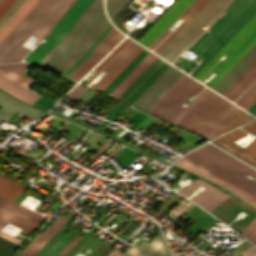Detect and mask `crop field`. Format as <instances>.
<instances>
[{"label": "crop field", "instance_id": "crop-field-1", "mask_svg": "<svg viewBox=\"0 0 256 256\" xmlns=\"http://www.w3.org/2000/svg\"><path fill=\"white\" fill-rule=\"evenodd\" d=\"M102 0H95L63 40L38 64L63 75L109 24Z\"/></svg>", "mask_w": 256, "mask_h": 256}, {"label": "crop field", "instance_id": "crop-field-2", "mask_svg": "<svg viewBox=\"0 0 256 256\" xmlns=\"http://www.w3.org/2000/svg\"><path fill=\"white\" fill-rule=\"evenodd\" d=\"M75 0H40L22 23L0 44V62L20 61L30 50L20 46L31 34L44 37ZM36 42V44H37Z\"/></svg>", "mask_w": 256, "mask_h": 256}, {"label": "crop field", "instance_id": "crop-field-3", "mask_svg": "<svg viewBox=\"0 0 256 256\" xmlns=\"http://www.w3.org/2000/svg\"><path fill=\"white\" fill-rule=\"evenodd\" d=\"M255 14L256 0H234L188 49L205 56L191 75L194 77Z\"/></svg>", "mask_w": 256, "mask_h": 256}, {"label": "crop field", "instance_id": "crop-field-4", "mask_svg": "<svg viewBox=\"0 0 256 256\" xmlns=\"http://www.w3.org/2000/svg\"><path fill=\"white\" fill-rule=\"evenodd\" d=\"M232 0H211L159 53L171 62L211 24Z\"/></svg>", "mask_w": 256, "mask_h": 256}, {"label": "crop field", "instance_id": "crop-field-5", "mask_svg": "<svg viewBox=\"0 0 256 256\" xmlns=\"http://www.w3.org/2000/svg\"><path fill=\"white\" fill-rule=\"evenodd\" d=\"M256 21V15L215 55V57L195 76L200 79L203 74L214 65L219 57L224 54ZM256 31V22L253 26L226 52L228 58L220 61L215 65L205 77L212 71L216 72L230 56ZM256 43V32L233 54V56L216 72L211 80L206 84L213 87L231 68L232 66ZM205 77L201 80L203 81Z\"/></svg>", "mask_w": 256, "mask_h": 256}, {"label": "crop field", "instance_id": "crop-field-6", "mask_svg": "<svg viewBox=\"0 0 256 256\" xmlns=\"http://www.w3.org/2000/svg\"><path fill=\"white\" fill-rule=\"evenodd\" d=\"M93 2L94 0H76L45 36L46 42L39 44L25 60L37 65L62 40Z\"/></svg>", "mask_w": 256, "mask_h": 256}, {"label": "crop field", "instance_id": "crop-field-7", "mask_svg": "<svg viewBox=\"0 0 256 256\" xmlns=\"http://www.w3.org/2000/svg\"><path fill=\"white\" fill-rule=\"evenodd\" d=\"M210 91L178 125L202 135L232 105Z\"/></svg>", "mask_w": 256, "mask_h": 256}, {"label": "crop field", "instance_id": "crop-field-8", "mask_svg": "<svg viewBox=\"0 0 256 256\" xmlns=\"http://www.w3.org/2000/svg\"><path fill=\"white\" fill-rule=\"evenodd\" d=\"M202 88V85L184 75L149 113L171 122L184 109L180 106L181 103L190 95L197 94Z\"/></svg>", "mask_w": 256, "mask_h": 256}, {"label": "crop field", "instance_id": "crop-field-9", "mask_svg": "<svg viewBox=\"0 0 256 256\" xmlns=\"http://www.w3.org/2000/svg\"><path fill=\"white\" fill-rule=\"evenodd\" d=\"M26 65L27 63L0 65V87L32 104L40 95L29 90L34 81L21 76Z\"/></svg>", "mask_w": 256, "mask_h": 256}, {"label": "crop field", "instance_id": "crop-field-10", "mask_svg": "<svg viewBox=\"0 0 256 256\" xmlns=\"http://www.w3.org/2000/svg\"><path fill=\"white\" fill-rule=\"evenodd\" d=\"M183 75L170 66L133 105L148 112Z\"/></svg>", "mask_w": 256, "mask_h": 256}, {"label": "crop field", "instance_id": "crop-field-11", "mask_svg": "<svg viewBox=\"0 0 256 256\" xmlns=\"http://www.w3.org/2000/svg\"><path fill=\"white\" fill-rule=\"evenodd\" d=\"M195 151L199 152L203 156L207 157L211 161L215 162L216 164L220 165L224 169L228 170L232 174L236 175L237 177L241 178L242 180L256 188V179L250 180L243 175L247 172L252 176L256 177L255 169L247 166L246 164L240 162L239 160L235 159L234 157L228 155L227 153L223 152L222 150L216 148L211 144H206Z\"/></svg>", "mask_w": 256, "mask_h": 256}, {"label": "crop field", "instance_id": "crop-field-12", "mask_svg": "<svg viewBox=\"0 0 256 256\" xmlns=\"http://www.w3.org/2000/svg\"><path fill=\"white\" fill-rule=\"evenodd\" d=\"M241 128L251 134L256 135V120L251 121L250 123ZM244 135H246L245 132L237 129L213 140V142L221 145L222 147L226 148L227 150L247 161L248 163L256 166V139L253 140L244 149L232 142Z\"/></svg>", "mask_w": 256, "mask_h": 256}, {"label": "crop field", "instance_id": "crop-field-13", "mask_svg": "<svg viewBox=\"0 0 256 256\" xmlns=\"http://www.w3.org/2000/svg\"><path fill=\"white\" fill-rule=\"evenodd\" d=\"M169 66L157 57L118 99L132 104Z\"/></svg>", "mask_w": 256, "mask_h": 256}, {"label": "crop field", "instance_id": "crop-field-14", "mask_svg": "<svg viewBox=\"0 0 256 256\" xmlns=\"http://www.w3.org/2000/svg\"><path fill=\"white\" fill-rule=\"evenodd\" d=\"M245 212L247 215L241 220L233 222L230 227L238 231L244 227L252 218L256 216V212L249 207L243 205L231 196H227L220 204H218L210 213L225 222L230 223L240 212Z\"/></svg>", "mask_w": 256, "mask_h": 256}, {"label": "crop field", "instance_id": "crop-field-15", "mask_svg": "<svg viewBox=\"0 0 256 256\" xmlns=\"http://www.w3.org/2000/svg\"><path fill=\"white\" fill-rule=\"evenodd\" d=\"M122 38L123 35L112 27L92 53L68 77L74 80L80 79Z\"/></svg>", "mask_w": 256, "mask_h": 256}, {"label": "crop field", "instance_id": "crop-field-16", "mask_svg": "<svg viewBox=\"0 0 256 256\" xmlns=\"http://www.w3.org/2000/svg\"><path fill=\"white\" fill-rule=\"evenodd\" d=\"M200 185L204 187H206L207 185L208 186L199 194H197L194 198H192V200L197 202L199 205H201L209 212L227 196V194L223 193L222 191L218 190L217 188L213 187L207 182L199 179H197L189 187L179 189L178 192L186 197Z\"/></svg>", "mask_w": 256, "mask_h": 256}, {"label": "crop field", "instance_id": "crop-field-17", "mask_svg": "<svg viewBox=\"0 0 256 256\" xmlns=\"http://www.w3.org/2000/svg\"><path fill=\"white\" fill-rule=\"evenodd\" d=\"M191 1L192 0H177L139 39L138 42L148 47L160 35V33L187 7Z\"/></svg>", "mask_w": 256, "mask_h": 256}, {"label": "crop field", "instance_id": "crop-field-18", "mask_svg": "<svg viewBox=\"0 0 256 256\" xmlns=\"http://www.w3.org/2000/svg\"><path fill=\"white\" fill-rule=\"evenodd\" d=\"M176 165H179L193 173L199 174L223 187H225L227 190L232 192L233 194L245 199L247 202H249L251 205L256 207V200L245 194L244 192L240 191L236 187L232 186L225 180L221 179L217 175L213 174L209 170L205 169L201 165L197 164L193 160L189 159L188 157L184 156L179 161L175 163ZM244 200V201H245Z\"/></svg>", "mask_w": 256, "mask_h": 256}, {"label": "crop field", "instance_id": "crop-field-19", "mask_svg": "<svg viewBox=\"0 0 256 256\" xmlns=\"http://www.w3.org/2000/svg\"><path fill=\"white\" fill-rule=\"evenodd\" d=\"M186 156L193 159L197 163L201 164L205 168L209 169L213 173L217 174L221 178L225 179L229 183L233 184L237 188L241 189L242 191H244L245 193L249 194L250 196H252L253 198L256 199V189L255 188L248 185L247 183L240 180L236 176L232 175L228 171H226L223 168H221L220 166L216 165L215 163L211 162L207 158L203 157L199 153L192 151L189 154H187Z\"/></svg>", "mask_w": 256, "mask_h": 256}, {"label": "crop field", "instance_id": "crop-field-20", "mask_svg": "<svg viewBox=\"0 0 256 256\" xmlns=\"http://www.w3.org/2000/svg\"><path fill=\"white\" fill-rule=\"evenodd\" d=\"M208 2L209 0H193V2L172 23H174L179 17L186 19L153 52L158 54ZM167 28L148 48H155L163 40V38L170 32Z\"/></svg>", "mask_w": 256, "mask_h": 256}, {"label": "crop field", "instance_id": "crop-field-21", "mask_svg": "<svg viewBox=\"0 0 256 256\" xmlns=\"http://www.w3.org/2000/svg\"><path fill=\"white\" fill-rule=\"evenodd\" d=\"M0 107H2L0 109V117L7 121L11 117H13L17 112L32 119H35L44 113L40 110L33 109L29 106H26L14 100L13 98L7 96L1 91H0Z\"/></svg>", "mask_w": 256, "mask_h": 256}, {"label": "crop field", "instance_id": "crop-field-22", "mask_svg": "<svg viewBox=\"0 0 256 256\" xmlns=\"http://www.w3.org/2000/svg\"><path fill=\"white\" fill-rule=\"evenodd\" d=\"M255 59L256 44L233 66L213 89L222 94Z\"/></svg>", "mask_w": 256, "mask_h": 256}, {"label": "crop field", "instance_id": "crop-field-23", "mask_svg": "<svg viewBox=\"0 0 256 256\" xmlns=\"http://www.w3.org/2000/svg\"><path fill=\"white\" fill-rule=\"evenodd\" d=\"M140 240L124 256H170L159 232L149 244Z\"/></svg>", "mask_w": 256, "mask_h": 256}, {"label": "crop field", "instance_id": "crop-field-24", "mask_svg": "<svg viewBox=\"0 0 256 256\" xmlns=\"http://www.w3.org/2000/svg\"><path fill=\"white\" fill-rule=\"evenodd\" d=\"M76 215V213L68 220V222ZM67 222V223H68ZM66 223V224H67ZM65 224V226H66ZM67 227H62L35 256H56L78 233L74 230L68 237L63 233L67 230Z\"/></svg>", "mask_w": 256, "mask_h": 256}, {"label": "crop field", "instance_id": "crop-field-25", "mask_svg": "<svg viewBox=\"0 0 256 256\" xmlns=\"http://www.w3.org/2000/svg\"><path fill=\"white\" fill-rule=\"evenodd\" d=\"M39 0H25L10 20L0 29V43L21 23Z\"/></svg>", "mask_w": 256, "mask_h": 256}, {"label": "crop field", "instance_id": "crop-field-26", "mask_svg": "<svg viewBox=\"0 0 256 256\" xmlns=\"http://www.w3.org/2000/svg\"><path fill=\"white\" fill-rule=\"evenodd\" d=\"M152 53H148L139 64L109 93V95L117 98L156 58Z\"/></svg>", "mask_w": 256, "mask_h": 256}, {"label": "crop field", "instance_id": "crop-field-27", "mask_svg": "<svg viewBox=\"0 0 256 256\" xmlns=\"http://www.w3.org/2000/svg\"><path fill=\"white\" fill-rule=\"evenodd\" d=\"M26 186L0 174V196L17 202L25 193Z\"/></svg>", "mask_w": 256, "mask_h": 256}, {"label": "crop field", "instance_id": "crop-field-28", "mask_svg": "<svg viewBox=\"0 0 256 256\" xmlns=\"http://www.w3.org/2000/svg\"><path fill=\"white\" fill-rule=\"evenodd\" d=\"M256 78V63L251 69L224 95L234 101Z\"/></svg>", "mask_w": 256, "mask_h": 256}, {"label": "crop field", "instance_id": "crop-field-29", "mask_svg": "<svg viewBox=\"0 0 256 256\" xmlns=\"http://www.w3.org/2000/svg\"><path fill=\"white\" fill-rule=\"evenodd\" d=\"M0 206L19 215V216H22L28 220H31L37 224H40L45 219V217L38 215L34 212H31V211H29L17 204H14L2 197H0Z\"/></svg>", "mask_w": 256, "mask_h": 256}, {"label": "crop field", "instance_id": "crop-field-30", "mask_svg": "<svg viewBox=\"0 0 256 256\" xmlns=\"http://www.w3.org/2000/svg\"><path fill=\"white\" fill-rule=\"evenodd\" d=\"M138 44L132 40L117 54V56L103 69L106 71L96 84L90 86L95 88Z\"/></svg>", "mask_w": 256, "mask_h": 256}, {"label": "crop field", "instance_id": "crop-field-31", "mask_svg": "<svg viewBox=\"0 0 256 256\" xmlns=\"http://www.w3.org/2000/svg\"><path fill=\"white\" fill-rule=\"evenodd\" d=\"M240 109L231 106L204 134L207 138H212Z\"/></svg>", "mask_w": 256, "mask_h": 256}, {"label": "crop field", "instance_id": "crop-field-32", "mask_svg": "<svg viewBox=\"0 0 256 256\" xmlns=\"http://www.w3.org/2000/svg\"><path fill=\"white\" fill-rule=\"evenodd\" d=\"M146 49H142L136 57L115 77V79L103 90L109 93L127 74L128 72L148 53Z\"/></svg>", "mask_w": 256, "mask_h": 256}, {"label": "crop field", "instance_id": "crop-field-33", "mask_svg": "<svg viewBox=\"0 0 256 256\" xmlns=\"http://www.w3.org/2000/svg\"><path fill=\"white\" fill-rule=\"evenodd\" d=\"M143 47L137 46L97 87L96 89L102 91L111 80L132 60V58L142 49Z\"/></svg>", "mask_w": 256, "mask_h": 256}, {"label": "crop field", "instance_id": "crop-field-34", "mask_svg": "<svg viewBox=\"0 0 256 256\" xmlns=\"http://www.w3.org/2000/svg\"><path fill=\"white\" fill-rule=\"evenodd\" d=\"M0 217L28 230V231H33V229L35 228V224L9 212V211H6L2 208H0Z\"/></svg>", "mask_w": 256, "mask_h": 256}, {"label": "crop field", "instance_id": "crop-field-35", "mask_svg": "<svg viewBox=\"0 0 256 256\" xmlns=\"http://www.w3.org/2000/svg\"><path fill=\"white\" fill-rule=\"evenodd\" d=\"M255 100L256 81L239 97L235 103L247 109Z\"/></svg>", "mask_w": 256, "mask_h": 256}, {"label": "crop field", "instance_id": "crop-field-36", "mask_svg": "<svg viewBox=\"0 0 256 256\" xmlns=\"http://www.w3.org/2000/svg\"><path fill=\"white\" fill-rule=\"evenodd\" d=\"M249 119H251V116L240 110L215 136H217L229 129H232V128L248 121Z\"/></svg>", "mask_w": 256, "mask_h": 256}, {"label": "crop field", "instance_id": "crop-field-37", "mask_svg": "<svg viewBox=\"0 0 256 256\" xmlns=\"http://www.w3.org/2000/svg\"><path fill=\"white\" fill-rule=\"evenodd\" d=\"M131 0H109L106 3L108 14L111 20L130 2Z\"/></svg>", "mask_w": 256, "mask_h": 256}, {"label": "crop field", "instance_id": "crop-field-38", "mask_svg": "<svg viewBox=\"0 0 256 256\" xmlns=\"http://www.w3.org/2000/svg\"><path fill=\"white\" fill-rule=\"evenodd\" d=\"M137 155L138 153L124 147L120 150L116 160L125 169Z\"/></svg>", "mask_w": 256, "mask_h": 256}, {"label": "crop field", "instance_id": "crop-field-39", "mask_svg": "<svg viewBox=\"0 0 256 256\" xmlns=\"http://www.w3.org/2000/svg\"><path fill=\"white\" fill-rule=\"evenodd\" d=\"M112 27L111 23L108 27L101 33V35L95 40V42L88 48V50L74 63V65L64 74L67 76L77 65H79L95 48V46L100 42V40L104 37V35L109 31Z\"/></svg>", "mask_w": 256, "mask_h": 256}, {"label": "crop field", "instance_id": "crop-field-40", "mask_svg": "<svg viewBox=\"0 0 256 256\" xmlns=\"http://www.w3.org/2000/svg\"><path fill=\"white\" fill-rule=\"evenodd\" d=\"M238 233L256 244V217L252 219L244 228Z\"/></svg>", "mask_w": 256, "mask_h": 256}, {"label": "crop field", "instance_id": "crop-field-41", "mask_svg": "<svg viewBox=\"0 0 256 256\" xmlns=\"http://www.w3.org/2000/svg\"><path fill=\"white\" fill-rule=\"evenodd\" d=\"M209 90L204 89L197 95L195 100L191 102L173 121L172 123L177 124L191 109L192 107L208 92Z\"/></svg>", "mask_w": 256, "mask_h": 256}, {"label": "crop field", "instance_id": "crop-field-42", "mask_svg": "<svg viewBox=\"0 0 256 256\" xmlns=\"http://www.w3.org/2000/svg\"><path fill=\"white\" fill-rule=\"evenodd\" d=\"M0 231H2V232H4V233H6V234H8V235H10V236H12V237L18 239V240H20V241H22V242H24V241L26 240V239H24V238H22V237H20V236H18V235H16V234H14V233H11V232H9V231L3 229V228H1ZM2 232H0V236H1V237H3V238H5V239H7V240H9V241H11V242H13V243H15V244H19V245L22 244V242H20V241L14 239V238H12V237H10V236H8V235L2 233Z\"/></svg>", "mask_w": 256, "mask_h": 256}, {"label": "crop field", "instance_id": "crop-field-43", "mask_svg": "<svg viewBox=\"0 0 256 256\" xmlns=\"http://www.w3.org/2000/svg\"><path fill=\"white\" fill-rule=\"evenodd\" d=\"M24 0H17V2L11 7V9L5 14L0 20V28L8 21V19L14 14L18 7L23 3Z\"/></svg>", "mask_w": 256, "mask_h": 256}, {"label": "crop field", "instance_id": "crop-field-44", "mask_svg": "<svg viewBox=\"0 0 256 256\" xmlns=\"http://www.w3.org/2000/svg\"><path fill=\"white\" fill-rule=\"evenodd\" d=\"M127 106V105H126ZM126 106L118 103L104 118L108 119L110 121H113V119L120 113L122 112Z\"/></svg>", "mask_w": 256, "mask_h": 256}, {"label": "crop field", "instance_id": "crop-field-45", "mask_svg": "<svg viewBox=\"0 0 256 256\" xmlns=\"http://www.w3.org/2000/svg\"><path fill=\"white\" fill-rule=\"evenodd\" d=\"M16 0H1L0 1V19L9 10V8L15 3Z\"/></svg>", "mask_w": 256, "mask_h": 256}, {"label": "crop field", "instance_id": "crop-field-46", "mask_svg": "<svg viewBox=\"0 0 256 256\" xmlns=\"http://www.w3.org/2000/svg\"><path fill=\"white\" fill-rule=\"evenodd\" d=\"M54 102L44 98V97H40L37 101H35L33 104L34 105H37V106H40V107H43V108H47L49 109L50 106L53 104Z\"/></svg>", "mask_w": 256, "mask_h": 256}, {"label": "crop field", "instance_id": "crop-field-47", "mask_svg": "<svg viewBox=\"0 0 256 256\" xmlns=\"http://www.w3.org/2000/svg\"><path fill=\"white\" fill-rule=\"evenodd\" d=\"M251 243L244 240L242 243H240L234 250L230 252L232 254L231 256H237L239 253H241L245 248H247Z\"/></svg>", "mask_w": 256, "mask_h": 256}, {"label": "crop field", "instance_id": "crop-field-48", "mask_svg": "<svg viewBox=\"0 0 256 256\" xmlns=\"http://www.w3.org/2000/svg\"><path fill=\"white\" fill-rule=\"evenodd\" d=\"M100 137H101L100 135H98L94 132H90L85 137V141L89 144V147L91 148Z\"/></svg>", "mask_w": 256, "mask_h": 256}, {"label": "crop field", "instance_id": "crop-field-49", "mask_svg": "<svg viewBox=\"0 0 256 256\" xmlns=\"http://www.w3.org/2000/svg\"><path fill=\"white\" fill-rule=\"evenodd\" d=\"M86 90V88L78 85L72 92H70L68 94V96L76 99L80 94H82L84 91Z\"/></svg>", "mask_w": 256, "mask_h": 256}, {"label": "crop field", "instance_id": "crop-field-50", "mask_svg": "<svg viewBox=\"0 0 256 256\" xmlns=\"http://www.w3.org/2000/svg\"><path fill=\"white\" fill-rule=\"evenodd\" d=\"M134 12V10H132L131 8L127 7L119 16V20L121 23H123L132 13Z\"/></svg>", "mask_w": 256, "mask_h": 256}, {"label": "crop field", "instance_id": "crop-field-51", "mask_svg": "<svg viewBox=\"0 0 256 256\" xmlns=\"http://www.w3.org/2000/svg\"><path fill=\"white\" fill-rule=\"evenodd\" d=\"M79 239L80 237L76 236L57 256H64Z\"/></svg>", "mask_w": 256, "mask_h": 256}, {"label": "crop field", "instance_id": "crop-field-52", "mask_svg": "<svg viewBox=\"0 0 256 256\" xmlns=\"http://www.w3.org/2000/svg\"><path fill=\"white\" fill-rule=\"evenodd\" d=\"M127 39H125L124 41H122L96 68H95V72L118 50V48L126 41Z\"/></svg>", "mask_w": 256, "mask_h": 256}, {"label": "crop field", "instance_id": "crop-field-53", "mask_svg": "<svg viewBox=\"0 0 256 256\" xmlns=\"http://www.w3.org/2000/svg\"><path fill=\"white\" fill-rule=\"evenodd\" d=\"M129 41L130 39L85 83V85H87Z\"/></svg>", "mask_w": 256, "mask_h": 256}, {"label": "crop field", "instance_id": "crop-field-54", "mask_svg": "<svg viewBox=\"0 0 256 256\" xmlns=\"http://www.w3.org/2000/svg\"><path fill=\"white\" fill-rule=\"evenodd\" d=\"M151 24L152 22L147 21L142 28L132 32V34L138 38Z\"/></svg>", "mask_w": 256, "mask_h": 256}, {"label": "crop field", "instance_id": "crop-field-55", "mask_svg": "<svg viewBox=\"0 0 256 256\" xmlns=\"http://www.w3.org/2000/svg\"><path fill=\"white\" fill-rule=\"evenodd\" d=\"M245 256H253L254 254H256V247L252 246V244L242 253Z\"/></svg>", "mask_w": 256, "mask_h": 256}, {"label": "crop field", "instance_id": "crop-field-56", "mask_svg": "<svg viewBox=\"0 0 256 256\" xmlns=\"http://www.w3.org/2000/svg\"><path fill=\"white\" fill-rule=\"evenodd\" d=\"M153 120V118H151V117H147L137 128H135L133 131H137L141 126L142 127H146L151 121Z\"/></svg>", "mask_w": 256, "mask_h": 256}, {"label": "crop field", "instance_id": "crop-field-57", "mask_svg": "<svg viewBox=\"0 0 256 256\" xmlns=\"http://www.w3.org/2000/svg\"><path fill=\"white\" fill-rule=\"evenodd\" d=\"M111 143V140H108L107 143L91 158V160H95Z\"/></svg>", "mask_w": 256, "mask_h": 256}, {"label": "crop field", "instance_id": "crop-field-58", "mask_svg": "<svg viewBox=\"0 0 256 256\" xmlns=\"http://www.w3.org/2000/svg\"><path fill=\"white\" fill-rule=\"evenodd\" d=\"M47 230V229H46ZM46 230H44L41 234H39L37 237H35L32 241H31V243L28 245V248L46 231ZM26 251V250H25ZM25 251H21L19 254H18V256H22L24 253H25Z\"/></svg>", "mask_w": 256, "mask_h": 256}, {"label": "crop field", "instance_id": "crop-field-59", "mask_svg": "<svg viewBox=\"0 0 256 256\" xmlns=\"http://www.w3.org/2000/svg\"><path fill=\"white\" fill-rule=\"evenodd\" d=\"M255 62H256V60L249 66V68L247 67L248 69L246 68L247 70L245 69L246 71L244 70L245 72L243 71L244 73L242 72L243 74L241 73L242 75L240 74L241 76H240V77L222 94V95H224V94H225V93H226V92H227V91H228V90H229V89H230V88H231V87H232V86L250 69V67H251Z\"/></svg>", "mask_w": 256, "mask_h": 256}, {"label": "crop field", "instance_id": "crop-field-60", "mask_svg": "<svg viewBox=\"0 0 256 256\" xmlns=\"http://www.w3.org/2000/svg\"><path fill=\"white\" fill-rule=\"evenodd\" d=\"M247 111L256 114V101L247 109Z\"/></svg>", "mask_w": 256, "mask_h": 256}, {"label": "crop field", "instance_id": "crop-field-61", "mask_svg": "<svg viewBox=\"0 0 256 256\" xmlns=\"http://www.w3.org/2000/svg\"><path fill=\"white\" fill-rule=\"evenodd\" d=\"M180 197V195H178L176 198H174L170 203H168L163 209H161L158 213H162L165 209H167L175 200H177Z\"/></svg>", "mask_w": 256, "mask_h": 256}, {"label": "crop field", "instance_id": "crop-field-62", "mask_svg": "<svg viewBox=\"0 0 256 256\" xmlns=\"http://www.w3.org/2000/svg\"><path fill=\"white\" fill-rule=\"evenodd\" d=\"M195 204L193 203L192 205H190L186 210H184L180 215H178L177 217H181L182 215H184L190 208H192Z\"/></svg>", "mask_w": 256, "mask_h": 256}, {"label": "crop field", "instance_id": "crop-field-63", "mask_svg": "<svg viewBox=\"0 0 256 256\" xmlns=\"http://www.w3.org/2000/svg\"><path fill=\"white\" fill-rule=\"evenodd\" d=\"M117 253V251H112L108 256H114Z\"/></svg>", "mask_w": 256, "mask_h": 256}, {"label": "crop field", "instance_id": "crop-field-64", "mask_svg": "<svg viewBox=\"0 0 256 256\" xmlns=\"http://www.w3.org/2000/svg\"><path fill=\"white\" fill-rule=\"evenodd\" d=\"M108 0H106V2H107Z\"/></svg>", "mask_w": 256, "mask_h": 256}]
</instances>
